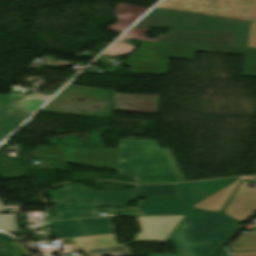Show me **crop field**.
<instances>
[{
	"mask_svg": "<svg viewBox=\"0 0 256 256\" xmlns=\"http://www.w3.org/2000/svg\"><path fill=\"white\" fill-rule=\"evenodd\" d=\"M248 47L256 48V22H251Z\"/></svg>",
	"mask_w": 256,
	"mask_h": 256,
	"instance_id": "d3111659",
	"label": "crop field"
},
{
	"mask_svg": "<svg viewBox=\"0 0 256 256\" xmlns=\"http://www.w3.org/2000/svg\"><path fill=\"white\" fill-rule=\"evenodd\" d=\"M135 197L180 195L175 184L135 185Z\"/></svg>",
	"mask_w": 256,
	"mask_h": 256,
	"instance_id": "214f88e0",
	"label": "crop field"
},
{
	"mask_svg": "<svg viewBox=\"0 0 256 256\" xmlns=\"http://www.w3.org/2000/svg\"><path fill=\"white\" fill-rule=\"evenodd\" d=\"M146 31H148V29H130L117 42H124L125 38H134L149 41L232 46L234 39V32L187 29H171L169 35H157V39H145L143 32ZM130 34H132L133 37H130Z\"/></svg>",
	"mask_w": 256,
	"mask_h": 256,
	"instance_id": "dd49c442",
	"label": "crop field"
},
{
	"mask_svg": "<svg viewBox=\"0 0 256 256\" xmlns=\"http://www.w3.org/2000/svg\"><path fill=\"white\" fill-rule=\"evenodd\" d=\"M0 212H6L4 205L0 201Z\"/></svg>",
	"mask_w": 256,
	"mask_h": 256,
	"instance_id": "d32e631a",
	"label": "crop field"
},
{
	"mask_svg": "<svg viewBox=\"0 0 256 256\" xmlns=\"http://www.w3.org/2000/svg\"><path fill=\"white\" fill-rule=\"evenodd\" d=\"M188 218L192 226L189 238L195 242H211L208 246L197 248L201 256H209L235 232L236 221L223 214L189 210Z\"/></svg>",
	"mask_w": 256,
	"mask_h": 256,
	"instance_id": "34b2d1b8",
	"label": "crop field"
},
{
	"mask_svg": "<svg viewBox=\"0 0 256 256\" xmlns=\"http://www.w3.org/2000/svg\"><path fill=\"white\" fill-rule=\"evenodd\" d=\"M61 218L44 219V221L58 219H73L80 217H99L95 205H55ZM94 212V215H91Z\"/></svg>",
	"mask_w": 256,
	"mask_h": 256,
	"instance_id": "bc2a9ffb",
	"label": "crop field"
},
{
	"mask_svg": "<svg viewBox=\"0 0 256 256\" xmlns=\"http://www.w3.org/2000/svg\"><path fill=\"white\" fill-rule=\"evenodd\" d=\"M11 240H15V239L11 238L10 236L4 233H0V242L11 241Z\"/></svg>",
	"mask_w": 256,
	"mask_h": 256,
	"instance_id": "1d83c4d3",
	"label": "crop field"
},
{
	"mask_svg": "<svg viewBox=\"0 0 256 256\" xmlns=\"http://www.w3.org/2000/svg\"><path fill=\"white\" fill-rule=\"evenodd\" d=\"M134 28H173L172 12L153 9Z\"/></svg>",
	"mask_w": 256,
	"mask_h": 256,
	"instance_id": "4a817a6b",
	"label": "crop field"
},
{
	"mask_svg": "<svg viewBox=\"0 0 256 256\" xmlns=\"http://www.w3.org/2000/svg\"><path fill=\"white\" fill-rule=\"evenodd\" d=\"M202 29L235 31L233 46L247 47L250 23L200 16Z\"/></svg>",
	"mask_w": 256,
	"mask_h": 256,
	"instance_id": "d1516ede",
	"label": "crop field"
},
{
	"mask_svg": "<svg viewBox=\"0 0 256 256\" xmlns=\"http://www.w3.org/2000/svg\"><path fill=\"white\" fill-rule=\"evenodd\" d=\"M173 15L174 28L201 29L199 16L176 12Z\"/></svg>",
	"mask_w": 256,
	"mask_h": 256,
	"instance_id": "00972430",
	"label": "crop field"
},
{
	"mask_svg": "<svg viewBox=\"0 0 256 256\" xmlns=\"http://www.w3.org/2000/svg\"><path fill=\"white\" fill-rule=\"evenodd\" d=\"M246 182H241L225 208V214L240 222L249 218L256 211V189L246 187Z\"/></svg>",
	"mask_w": 256,
	"mask_h": 256,
	"instance_id": "3316defc",
	"label": "crop field"
},
{
	"mask_svg": "<svg viewBox=\"0 0 256 256\" xmlns=\"http://www.w3.org/2000/svg\"><path fill=\"white\" fill-rule=\"evenodd\" d=\"M237 179L238 178H229V179H220V180L201 181L199 182V184L205 196H208Z\"/></svg>",
	"mask_w": 256,
	"mask_h": 256,
	"instance_id": "a9b5d70f",
	"label": "crop field"
},
{
	"mask_svg": "<svg viewBox=\"0 0 256 256\" xmlns=\"http://www.w3.org/2000/svg\"><path fill=\"white\" fill-rule=\"evenodd\" d=\"M147 9L148 7L118 3L115 9V13L119 22L109 27V29H112L118 32H123Z\"/></svg>",
	"mask_w": 256,
	"mask_h": 256,
	"instance_id": "d9b57169",
	"label": "crop field"
},
{
	"mask_svg": "<svg viewBox=\"0 0 256 256\" xmlns=\"http://www.w3.org/2000/svg\"><path fill=\"white\" fill-rule=\"evenodd\" d=\"M56 238L115 232L109 217L50 222Z\"/></svg>",
	"mask_w": 256,
	"mask_h": 256,
	"instance_id": "d8731c3e",
	"label": "crop field"
},
{
	"mask_svg": "<svg viewBox=\"0 0 256 256\" xmlns=\"http://www.w3.org/2000/svg\"><path fill=\"white\" fill-rule=\"evenodd\" d=\"M233 256H256V251L231 253Z\"/></svg>",
	"mask_w": 256,
	"mask_h": 256,
	"instance_id": "bd1437ed",
	"label": "crop field"
},
{
	"mask_svg": "<svg viewBox=\"0 0 256 256\" xmlns=\"http://www.w3.org/2000/svg\"><path fill=\"white\" fill-rule=\"evenodd\" d=\"M145 215L186 213L180 196L147 198Z\"/></svg>",
	"mask_w": 256,
	"mask_h": 256,
	"instance_id": "22f410ed",
	"label": "crop field"
},
{
	"mask_svg": "<svg viewBox=\"0 0 256 256\" xmlns=\"http://www.w3.org/2000/svg\"><path fill=\"white\" fill-rule=\"evenodd\" d=\"M242 179L254 181L255 177L240 178V180ZM240 180H237L231 183L230 185L222 188L221 190L206 197L205 199L201 200L192 207L215 212L221 211L222 208L227 203V201L229 200V198L231 197V195L233 194V192L235 191Z\"/></svg>",
	"mask_w": 256,
	"mask_h": 256,
	"instance_id": "cbeb9de0",
	"label": "crop field"
},
{
	"mask_svg": "<svg viewBox=\"0 0 256 256\" xmlns=\"http://www.w3.org/2000/svg\"><path fill=\"white\" fill-rule=\"evenodd\" d=\"M157 6L256 21V0H163Z\"/></svg>",
	"mask_w": 256,
	"mask_h": 256,
	"instance_id": "412701ff",
	"label": "crop field"
},
{
	"mask_svg": "<svg viewBox=\"0 0 256 256\" xmlns=\"http://www.w3.org/2000/svg\"><path fill=\"white\" fill-rule=\"evenodd\" d=\"M70 242L71 251L118 245L115 233L64 238Z\"/></svg>",
	"mask_w": 256,
	"mask_h": 256,
	"instance_id": "5142ce71",
	"label": "crop field"
},
{
	"mask_svg": "<svg viewBox=\"0 0 256 256\" xmlns=\"http://www.w3.org/2000/svg\"><path fill=\"white\" fill-rule=\"evenodd\" d=\"M114 111L143 112L157 114L158 96L113 94Z\"/></svg>",
	"mask_w": 256,
	"mask_h": 256,
	"instance_id": "28ad6ade",
	"label": "crop field"
},
{
	"mask_svg": "<svg viewBox=\"0 0 256 256\" xmlns=\"http://www.w3.org/2000/svg\"><path fill=\"white\" fill-rule=\"evenodd\" d=\"M66 162L117 171L118 149L96 147H64ZM33 157L43 164V170H66L63 147L38 146Z\"/></svg>",
	"mask_w": 256,
	"mask_h": 256,
	"instance_id": "ac0d7876",
	"label": "crop field"
},
{
	"mask_svg": "<svg viewBox=\"0 0 256 256\" xmlns=\"http://www.w3.org/2000/svg\"><path fill=\"white\" fill-rule=\"evenodd\" d=\"M134 47L128 45L127 43H114L105 53L104 55H108L110 57L125 54L132 52Z\"/></svg>",
	"mask_w": 256,
	"mask_h": 256,
	"instance_id": "eef30255",
	"label": "crop field"
},
{
	"mask_svg": "<svg viewBox=\"0 0 256 256\" xmlns=\"http://www.w3.org/2000/svg\"><path fill=\"white\" fill-rule=\"evenodd\" d=\"M177 185L188 207H191V205L205 198L198 182L181 183Z\"/></svg>",
	"mask_w": 256,
	"mask_h": 256,
	"instance_id": "92a150f3",
	"label": "crop field"
},
{
	"mask_svg": "<svg viewBox=\"0 0 256 256\" xmlns=\"http://www.w3.org/2000/svg\"><path fill=\"white\" fill-rule=\"evenodd\" d=\"M228 248L231 252L256 250V233L241 235Z\"/></svg>",
	"mask_w": 256,
	"mask_h": 256,
	"instance_id": "dafd665d",
	"label": "crop field"
},
{
	"mask_svg": "<svg viewBox=\"0 0 256 256\" xmlns=\"http://www.w3.org/2000/svg\"><path fill=\"white\" fill-rule=\"evenodd\" d=\"M0 227L6 232L19 231L16 228L15 214H0Z\"/></svg>",
	"mask_w": 256,
	"mask_h": 256,
	"instance_id": "730fd06b",
	"label": "crop field"
},
{
	"mask_svg": "<svg viewBox=\"0 0 256 256\" xmlns=\"http://www.w3.org/2000/svg\"><path fill=\"white\" fill-rule=\"evenodd\" d=\"M118 176L138 183L185 181L170 150L143 139H119Z\"/></svg>",
	"mask_w": 256,
	"mask_h": 256,
	"instance_id": "8a807250",
	"label": "crop field"
},
{
	"mask_svg": "<svg viewBox=\"0 0 256 256\" xmlns=\"http://www.w3.org/2000/svg\"><path fill=\"white\" fill-rule=\"evenodd\" d=\"M0 256H17L5 243H0Z\"/></svg>",
	"mask_w": 256,
	"mask_h": 256,
	"instance_id": "750c4746",
	"label": "crop field"
},
{
	"mask_svg": "<svg viewBox=\"0 0 256 256\" xmlns=\"http://www.w3.org/2000/svg\"><path fill=\"white\" fill-rule=\"evenodd\" d=\"M216 256H229V255L226 253V251L223 248Z\"/></svg>",
	"mask_w": 256,
	"mask_h": 256,
	"instance_id": "120bbe31",
	"label": "crop field"
},
{
	"mask_svg": "<svg viewBox=\"0 0 256 256\" xmlns=\"http://www.w3.org/2000/svg\"><path fill=\"white\" fill-rule=\"evenodd\" d=\"M64 190H47L50 198H95L97 207L125 206L134 199L133 190L92 192L83 183L63 184Z\"/></svg>",
	"mask_w": 256,
	"mask_h": 256,
	"instance_id": "e52e79f7",
	"label": "crop field"
},
{
	"mask_svg": "<svg viewBox=\"0 0 256 256\" xmlns=\"http://www.w3.org/2000/svg\"><path fill=\"white\" fill-rule=\"evenodd\" d=\"M21 98L24 101L19 102ZM49 98L34 92L29 95L14 92L10 97L0 96V141Z\"/></svg>",
	"mask_w": 256,
	"mask_h": 256,
	"instance_id": "f4fd0767",
	"label": "crop field"
},
{
	"mask_svg": "<svg viewBox=\"0 0 256 256\" xmlns=\"http://www.w3.org/2000/svg\"><path fill=\"white\" fill-rule=\"evenodd\" d=\"M54 204H95L94 199H52Z\"/></svg>",
	"mask_w": 256,
	"mask_h": 256,
	"instance_id": "ae1a2a85",
	"label": "crop field"
},
{
	"mask_svg": "<svg viewBox=\"0 0 256 256\" xmlns=\"http://www.w3.org/2000/svg\"><path fill=\"white\" fill-rule=\"evenodd\" d=\"M182 218H185V215L137 217L142 232L136 234L133 241L165 242Z\"/></svg>",
	"mask_w": 256,
	"mask_h": 256,
	"instance_id": "5a996713",
	"label": "crop field"
},
{
	"mask_svg": "<svg viewBox=\"0 0 256 256\" xmlns=\"http://www.w3.org/2000/svg\"><path fill=\"white\" fill-rule=\"evenodd\" d=\"M85 253L88 256H101L106 254H112L113 256H128L130 255L124 246H117V247H111L107 249H100V250H89L85 251ZM76 256H85L84 254L76 255Z\"/></svg>",
	"mask_w": 256,
	"mask_h": 256,
	"instance_id": "4177f3b9",
	"label": "crop field"
},
{
	"mask_svg": "<svg viewBox=\"0 0 256 256\" xmlns=\"http://www.w3.org/2000/svg\"><path fill=\"white\" fill-rule=\"evenodd\" d=\"M189 228L188 223L185 219H182V221L177 226L176 230L173 232V234L169 237L168 241L175 242L177 253L176 255H168V254H160L157 256H196L192 249L195 246H201L206 244H197L190 242L185 237V231Z\"/></svg>",
	"mask_w": 256,
	"mask_h": 256,
	"instance_id": "733c2abd",
	"label": "crop field"
}]
</instances>
